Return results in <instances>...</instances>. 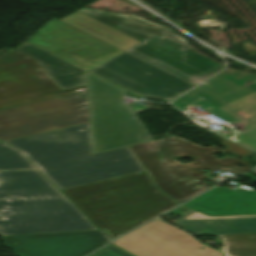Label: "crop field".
Segmentation results:
<instances>
[{
    "mask_svg": "<svg viewBox=\"0 0 256 256\" xmlns=\"http://www.w3.org/2000/svg\"><path fill=\"white\" fill-rule=\"evenodd\" d=\"M176 225L193 234L256 232V215L210 217L191 210L175 221Z\"/></svg>",
    "mask_w": 256,
    "mask_h": 256,
    "instance_id": "13",
    "label": "crop field"
},
{
    "mask_svg": "<svg viewBox=\"0 0 256 256\" xmlns=\"http://www.w3.org/2000/svg\"><path fill=\"white\" fill-rule=\"evenodd\" d=\"M36 168L19 151L0 143V170Z\"/></svg>",
    "mask_w": 256,
    "mask_h": 256,
    "instance_id": "16",
    "label": "crop field"
},
{
    "mask_svg": "<svg viewBox=\"0 0 256 256\" xmlns=\"http://www.w3.org/2000/svg\"><path fill=\"white\" fill-rule=\"evenodd\" d=\"M90 72L137 94L167 100L193 86L126 52Z\"/></svg>",
    "mask_w": 256,
    "mask_h": 256,
    "instance_id": "9",
    "label": "crop field"
},
{
    "mask_svg": "<svg viewBox=\"0 0 256 256\" xmlns=\"http://www.w3.org/2000/svg\"><path fill=\"white\" fill-rule=\"evenodd\" d=\"M91 256H131V255L118 249L117 247L111 244Z\"/></svg>",
    "mask_w": 256,
    "mask_h": 256,
    "instance_id": "18",
    "label": "crop field"
},
{
    "mask_svg": "<svg viewBox=\"0 0 256 256\" xmlns=\"http://www.w3.org/2000/svg\"><path fill=\"white\" fill-rule=\"evenodd\" d=\"M94 228L38 170L0 172V236Z\"/></svg>",
    "mask_w": 256,
    "mask_h": 256,
    "instance_id": "4",
    "label": "crop field"
},
{
    "mask_svg": "<svg viewBox=\"0 0 256 256\" xmlns=\"http://www.w3.org/2000/svg\"><path fill=\"white\" fill-rule=\"evenodd\" d=\"M18 50L35 59L61 90L87 84L86 72L26 42Z\"/></svg>",
    "mask_w": 256,
    "mask_h": 256,
    "instance_id": "14",
    "label": "crop field"
},
{
    "mask_svg": "<svg viewBox=\"0 0 256 256\" xmlns=\"http://www.w3.org/2000/svg\"><path fill=\"white\" fill-rule=\"evenodd\" d=\"M26 42L85 71L123 52L55 18Z\"/></svg>",
    "mask_w": 256,
    "mask_h": 256,
    "instance_id": "8",
    "label": "crop field"
},
{
    "mask_svg": "<svg viewBox=\"0 0 256 256\" xmlns=\"http://www.w3.org/2000/svg\"><path fill=\"white\" fill-rule=\"evenodd\" d=\"M215 135L222 141L220 146L227 150H220L217 146H197L173 134L159 140L132 145L131 148L158 188L181 203L210 188L208 183L202 180L207 177L200 173L201 169H209L212 172L227 171L234 175L251 169L246 157L251 151ZM227 151L244 159L229 158L224 154ZM213 153H220L224 157L217 159ZM181 157H192L194 162L179 164L176 160ZM235 164L245 167L238 169L234 167Z\"/></svg>",
    "mask_w": 256,
    "mask_h": 256,
    "instance_id": "5",
    "label": "crop field"
},
{
    "mask_svg": "<svg viewBox=\"0 0 256 256\" xmlns=\"http://www.w3.org/2000/svg\"><path fill=\"white\" fill-rule=\"evenodd\" d=\"M62 192L111 240L178 205L155 188L145 171Z\"/></svg>",
    "mask_w": 256,
    "mask_h": 256,
    "instance_id": "6",
    "label": "crop field"
},
{
    "mask_svg": "<svg viewBox=\"0 0 256 256\" xmlns=\"http://www.w3.org/2000/svg\"><path fill=\"white\" fill-rule=\"evenodd\" d=\"M124 89V88H123ZM133 93V92H132ZM135 94V93H134ZM137 95V94H136ZM157 99V98H156ZM160 100H162V99H160ZM165 101H167V100H165Z\"/></svg>",
    "mask_w": 256,
    "mask_h": 256,
    "instance_id": "19",
    "label": "crop field"
},
{
    "mask_svg": "<svg viewBox=\"0 0 256 256\" xmlns=\"http://www.w3.org/2000/svg\"><path fill=\"white\" fill-rule=\"evenodd\" d=\"M90 121L87 85L61 91L31 57L0 54V140Z\"/></svg>",
    "mask_w": 256,
    "mask_h": 256,
    "instance_id": "1",
    "label": "crop field"
},
{
    "mask_svg": "<svg viewBox=\"0 0 256 256\" xmlns=\"http://www.w3.org/2000/svg\"><path fill=\"white\" fill-rule=\"evenodd\" d=\"M87 78L94 154L152 140L122 89L88 72Z\"/></svg>",
    "mask_w": 256,
    "mask_h": 256,
    "instance_id": "7",
    "label": "crop field"
},
{
    "mask_svg": "<svg viewBox=\"0 0 256 256\" xmlns=\"http://www.w3.org/2000/svg\"><path fill=\"white\" fill-rule=\"evenodd\" d=\"M243 176L256 182V177L249 173ZM183 206L208 215L256 214V190L241 186L233 190L215 188Z\"/></svg>",
    "mask_w": 256,
    "mask_h": 256,
    "instance_id": "12",
    "label": "crop field"
},
{
    "mask_svg": "<svg viewBox=\"0 0 256 256\" xmlns=\"http://www.w3.org/2000/svg\"><path fill=\"white\" fill-rule=\"evenodd\" d=\"M112 244L134 256H221L159 218ZM200 246L204 251L198 249Z\"/></svg>",
    "mask_w": 256,
    "mask_h": 256,
    "instance_id": "10",
    "label": "crop field"
},
{
    "mask_svg": "<svg viewBox=\"0 0 256 256\" xmlns=\"http://www.w3.org/2000/svg\"><path fill=\"white\" fill-rule=\"evenodd\" d=\"M197 236H216L222 241L221 251L225 256H256V233L214 234Z\"/></svg>",
    "mask_w": 256,
    "mask_h": 256,
    "instance_id": "15",
    "label": "crop field"
},
{
    "mask_svg": "<svg viewBox=\"0 0 256 256\" xmlns=\"http://www.w3.org/2000/svg\"><path fill=\"white\" fill-rule=\"evenodd\" d=\"M59 190L144 170L130 146L93 155L90 122L5 141Z\"/></svg>",
    "mask_w": 256,
    "mask_h": 256,
    "instance_id": "3",
    "label": "crop field"
},
{
    "mask_svg": "<svg viewBox=\"0 0 256 256\" xmlns=\"http://www.w3.org/2000/svg\"><path fill=\"white\" fill-rule=\"evenodd\" d=\"M61 21L193 85L224 68L222 64L197 53L167 28L134 15L82 8Z\"/></svg>",
    "mask_w": 256,
    "mask_h": 256,
    "instance_id": "2",
    "label": "crop field"
},
{
    "mask_svg": "<svg viewBox=\"0 0 256 256\" xmlns=\"http://www.w3.org/2000/svg\"><path fill=\"white\" fill-rule=\"evenodd\" d=\"M237 136L241 137V139L236 142L256 151V126L239 132Z\"/></svg>",
    "mask_w": 256,
    "mask_h": 256,
    "instance_id": "17",
    "label": "crop field"
},
{
    "mask_svg": "<svg viewBox=\"0 0 256 256\" xmlns=\"http://www.w3.org/2000/svg\"><path fill=\"white\" fill-rule=\"evenodd\" d=\"M1 238L16 256H84L111 241L102 230Z\"/></svg>",
    "mask_w": 256,
    "mask_h": 256,
    "instance_id": "11",
    "label": "crop field"
}]
</instances>
